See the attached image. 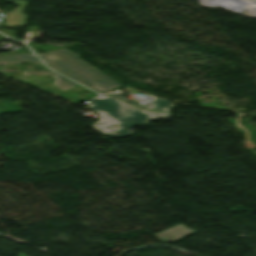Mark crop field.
<instances>
[{
    "instance_id": "5",
    "label": "crop field",
    "mask_w": 256,
    "mask_h": 256,
    "mask_svg": "<svg viewBox=\"0 0 256 256\" xmlns=\"http://www.w3.org/2000/svg\"><path fill=\"white\" fill-rule=\"evenodd\" d=\"M32 62L38 65H42L39 59L31 54H15L0 56V65Z\"/></svg>"
},
{
    "instance_id": "2",
    "label": "crop field",
    "mask_w": 256,
    "mask_h": 256,
    "mask_svg": "<svg viewBox=\"0 0 256 256\" xmlns=\"http://www.w3.org/2000/svg\"><path fill=\"white\" fill-rule=\"evenodd\" d=\"M37 55L51 69L99 93H106L120 85L81 62L76 54L68 50H57Z\"/></svg>"
},
{
    "instance_id": "6",
    "label": "crop field",
    "mask_w": 256,
    "mask_h": 256,
    "mask_svg": "<svg viewBox=\"0 0 256 256\" xmlns=\"http://www.w3.org/2000/svg\"><path fill=\"white\" fill-rule=\"evenodd\" d=\"M24 73H25V75H52L54 78H56L54 86H56L62 90H65L67 88H70V87L76 85L72 81H70L54 72H24Z\"/></svg>"
},
{
    "instance_id": "4",
    "label": "crop field",
    "mask_w": 256,
    "mask_h": 256,
    "mask_svg": "<svg viewBox=\"0 0 256 256\" xmlns=\"http://www.w3.org/2000/svg\"><path fill=\"white\" fill-rule=\"evenodd\" d=\"M192 232L193 230H191L190 228L179 224L155 235V237L159 240L173 241Z\"/></svg>"
},
{
    "instance_id": "8",
    "label": "crop field",
    "mask_w": 256,
    "mask_h": 256,
    "mask_svg": "<svg viewBox=\"0 0 256 256\" xmlns=\"http://www.w3.org/2000/svg\"><path fill=\"white\" fill-rule=\"evenodd\" d=\"M0 32L4 33V34H6V35H8V36H10V37H12V38H14V39L16 38V37H13L14 34H15V31H10V30H6V29H1Z\"/></svg>"
},
{
    "instance_id": "10",
    "label": "crop field",
    "mask_w": 256,
    "mask_h": 256,
    "mask_svg": "<svg viewBox=\"0 0 256 256\" xmlns=\"http://www.w3.org/2000/svg\"><path fill=\"white\" fill-rule=\"evenodd\" d=\"M1 36V35H0Z\"/></svg>"
},
{
    "instance_id": "9",
    "label": "crop field",
    "mask_w": 256,
    "mask_h": 256,
    "mask_svg": "<svg viewBox=\"0 0 256 256\" xmlns=\"http://www.w3.org/2000/svg\"><path fill=\"white\" fill-rule=\"evenodd\" d=\"M4 1H7V2H9V3H12V1L11 0H4ZM13 4V3H12Z\"/></svg>"
},
{
    "instance_id": "7",
    "label": "crop field",
    "mask_w": 256,
    "mask_h": 256,
    "mask_svg": "<svg viewBox=\"0 0 256 256\" xmlns=\"http://www.w3.org/2000/svg\"><path fill=\"white\" fill-rule=\"evenodd\" d=\"M6 15V25L10 26H18L22 23L21 26H24L26 23V17L22 12L17 8Z\"/></svg>"
},
{
    "instance_id": "3",
    "label": "crop field",
    "mask_w": 256,
    "mask_h": 256,
    "mask_svg": "<svg viewBox=\"0 0 256 256\" xmlns=\"http://www.w3.org/2000/svg\"><path fill=\"white\" fill-rule=\"evenodd\" d=\"M110 95L115 96L117 98H120L122 100L128 101L132 105L138 106L142 109H149V110H156V111L166 112V111L171 110L175 106V105L171 104L170 102H168L167 100H165L163 98L155 99V100L143 105L141 103L122 98V97H120L116 94H110Z\"/></svg>"
},
{
    "instance_id": "1",
    "label": "crop field",
    "mask_w": 256,
    "mask_h": 256,
    "mask_svg": "<svg viewBox=\"0 0 256 256\" xmlns=\"http://www.w3.org/2000/svg\"><path fill=\"white\" fill-rule=\"evenodd\" d=\"M88 106L100 116L92 127L109 138H126L134 133L129 130L131 127L147 124L152 118L171 115L168 112L143 111L109 95L92 99Z\"/></svg>"
}]
</instances>
